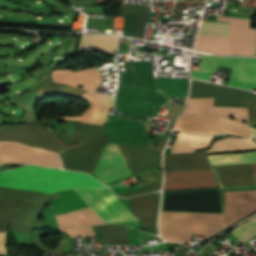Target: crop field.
<instances>
[{
    "label": "crop field",
    "mask_w": 256,
    "mask_h": 256,
    "mask_svg": "<svg viewBox=\"0 0 256 256\" xmlns=\"http://www.w3.org/2000/svg\"><path fill=\"white\" fill-rule=\"evenodd\" d=\"M0 186L52 193L73 187L103 186L94 177L78 172L25 165L0 173ZM0 187V203L5 196L37 200L47 193Z\"/></svg>",
    "instance_id": "crop-field-1"
},
{
    "label": "crop field",
    "mask_w": 256,
    "mask_h": 256,
    "mask_svg": "<svg viewBox=\"0 0 256 256\" xmlns=\"http://www.w3.org/2000/svg\"><path fill=\"white\" fill-rule=\"evenodd\" d=\"M132 174L158 168L160 156L150 145L117 144ZM116 144H106L92 173L104 183L132 175Z\"/></svg>",
    "instance_id": "crop-field-2"
},
{
    "label": "crop field",
    "mask_w": 256,
    "mask_h": 256,
    "mask_svg": "<svg viewBox=\"0 0 256 256\" xmlns=\"http://www.w3.org/2000/svg\"><path fill=\"white\" fill-rule=\"evenodd\" d=\"M74 131L75 142H80V146L61 153L63 168L91 174L107 141L105 128L101 125L74 122Z\"/></svg>",
    "instance_id": "crop-field-3"
},
{
    "label": "crop field",
    "mask_w": 256,
    "mask_h": 256,
    "mask_svg": "<svg viewBox=\"0 0 256 256\" xmlns=\"http://www.w3.org/2000/svg\"><path fill=\"white\" fill-rule=\"evenodd\" d=\"M223 214L161 212L159 226L164 240L190 242L192 234L208 237L223 228Z\"/></svg>",
    "instance_id": "crop-field-4"
},
{
    "label": "crop field",
    "mask_w": 256,
    "mask_h": 256,
    "mask_svg": "<svg viewBox=\"0 0 256 256\" xmlns=\"http://www.w3.org/2000/svg\"><path fill=\"white\" fill-rule=\"evenodd\" d=\"M151 88L130 87L127 72L122 76V83L117 90V110L129 117L146 122L147 114L155 116L159 108L169 97L155 89L150 100Z\"/></svg>",
    "instance_id": "crop-field-5"
},
{
    "label": "crop field",
    "mask_w": 256,
    "mask_h": 256,
    "mask_svg": "<svg viewBox=\"0 0 256 256\" xmlns=\"http://www.w3.org/2000/svg\"><path fill=\"white\" fill-rule=\"evenodd\" d=\"M220 66L233 67L229 86L251 90L256 87V60L201 55L200 69L191 70L193 79L208 81Z\"/></svg>",
    "instance_id": "crop-field-6"
},
{
    "label": "crop field",
    "mask_w": 256,
    "mask_h": 256,
    "mask_svg": "<svg viewBox=\"0 0 256 256\" xmlns=\"http://www.w3.org/2000/svg\"><path fill=\"white\" fill-rule=\"evenodd\" d=\"M161 211L223 213L221 191L210 188L163 192Z\"/></svg>",
    "instance_id": "crop-field-7"
},
{
    "label": "crop field",
    "mask_w": 256,
    "mask_h": 256,
    "mask_svg": "<svg viewBox=\"0 0 256 256\" xmlns=\"http://www.w3.org/2000/svg\"><path fill=\"white\" fill-rule=\"evenodd\" d=\"M0 141H18L27 145L60 151L73 146L63 143L53 131L47 132L40 122L0 126Z\"/></svg>",
    "instance_id": "crop-field-8"
},
{
    "label": "crop field",
    "mask_w": 256,
    "mask_h": 256,
    "mask_svg": "<svg viewBox=\"0 0 256 256\" xmlns=\"http://www.w3.org/2000/svg\"><path fill=\"white\" fill-rule=\"evenodd\" d=\"M105 222L137 220L109 189H73Z\"/></svg>",
    "instance_id": "crop-field-9"
},
{
    "label": "crop field",
    "mask_w": 256,
    "mask_h": 256,
    "mask_svg": "<svg viewBox=\"0 0 256 256\" xmlns=\"http://www.w3.org/2000/svg\"><path fill=\"white\" fill-rule=\"evenodd\" d=\"M213 99H189L174 130L197 134H215L219 116L212 115Z\"/></svg>",
    "instance_id": "crop-field-10"
},
{
    "label": "crop field",
    "mask_w": 256,
    "mask_h": 256,
    "mask_svg": "<svg viewBox=\"0 0 256 256\" xmlns=\"http://www.w3.org/2000/svg\"><path fill=\"white\" fill-rule=\"evenodd\" d=\"M189 98H214L213 106L248 108L256 101V94L245 90L192 81Z\"/></svg>",
    "instance_id": "crop-field-11"
},
{
    "label": "crop field",
    "mask_w": 256,
    "mask_h": 256,
    "mask_svg": "<svg viewBox=\"0 0 256 256\" xmlns=\"http://www.w3.org/2000/svg\"><path fill=\"white\" fill-rule=\"evenodd\" d=\"M4 163H26L61 168L60 159L52 152L16 143L0 142V164Z\"/></svg>",
    "instance_id": "crop-field-12"
},
{
    "label": "crop field",
    "mask_w": 256,
    "mask_h": 256,
    "mask_svg": "<svg viewBox=\"0 0 256 256\" xmlns=\"http://www.w3.org/2000/svg\"><path fill=\"white\" fill-rule=\"evenodd\" d=\"M106 131L109 134L107 143L148 144L144 123L131 120L119 114L108 121Z\"/></svg>",
    "instance_id": "crop-field-13"
},
{
    "label": "crop field",
    "mask_w": 256,
    "mask_h": 256,
    "mask_svg": "<svg viewBox=\"0 0 256 256\" xmlns=\"http://www.w3.org/2000/svg\"><path fill=\"white\" fill-rule=\"evenodd\" d=\"M217 21L229 22V53L255 54L256 30L250 20L218 16Z\"/></svg>",
    "instance_id": "crop-field-14"
},
{
    "label": "crop field",
    "mask_w": 256,
    "mask_h": 256,
    "mask_svg": "<svg viewBox=\"0 0 256 256\" xmlns=\"http://www.w3.org/2000/svg\"><path fill=\"white\" fill-rule=\"evenodd\" d=\"M218 186L211 170L165 173L163 190Z\"/></svg>",
    "instance_id": "crop-field-15"
},
{
    "label": "crop field",
    "mask_w": 256,
    "mask_h": 256,
    "mask_svg": "<svg viewBox=\"0 0 256 256\" xmlns=\"http://www.w3.org/2000/svg\"><path fill=\"white\" fill-rule=\"evenodd\" d=\"M224 194L226 226L256 209V190L232 191Z\"/></svg>",
    "instance_id": "crop-field-16"
},
{
    "label": "crop field",
    "mask_w": 256,
    "mask_h": 256,
    "mask_svg": "<svg viewBox=\"0 0 256 256\" xmlns=\"http://www.w3.org/2000/svg\"><path fill=\"white\" fill-rule=\"evenodd\" d=\"M213 114L220 115L216 134L249 136L247 125L228 120L224 117L248 120L247 109L234 107H213Z\"/></svg>",
    "instance_id": "crop-field-17"
},
{
    "label": "crop field",
    "mask_w": 256,
    "mask_h": 256,
    "mask_svg": "<svg viewBox=\"0 0 256 256\" xmlns=\"http://www.w3.org/2000/svg\"><path fill=\"white\" fill-rule=\"evenodd\" d=\"M212 169L205 152L167 154L164 160V171H188Z\"/></svg>",
    "instance_id": "crop-field-18"
},
{
    "label": "crop field",
    "mask_w": 256,
    "mask_h": 256,
    "mask_svg": "<svg viewBox=\"0 0 256 256\" xmlns=\"http://www.w3.org/2000/svg\"><path fill=\"white\" fill-rule=\"evenodd\" d=\"M82 98L91 103L90 108L85 110L82 116L64 117L62 119L82 120V122L103 125L107 121L109 108L113 106V98L93 92L82 95Z\"/></svg>",
    "instance_id": "crop-field-19"
},
{
    "label": "crop field",
    "mask_w": 256,
    "mask_h": 256,
    "mask_svg": "<svg viewBox=\"0 0 256 256\" xmlns=\"http://www.w3.org/2000/svg\"><path fill=\"white\" fill-rule=\"evenodd\" d=\"M222 186L256 185L251 165L213 167Z\"/></svg>",
    "instance_id": "crop-field-20"
},
{
    "label": "crop field",
    "mask_w": 256,
    "mask_h": 256,
    "mask_svg": "<svg viewBox=\"0 0 256 256\" xmlns=\"http://www.w3.org/2000/svg\"><path fill=\"white\" fill-rule=\"evenodd\" d=\"M56 197H59L57 193L39 199L34 205H32L22 214L14 218L13 221L10 223V228L28 234L29 230L32 229L35 225L37 221V216L42 208Z\"/></svg>",
    "instance_id": "crop-field-21"
},
{
    "label": "crop field",
    "mask_w": 256,
    "mask_h": 256,
    "mask_svg": "<svg viewBox=\"0 0 256 256\" xmlns=\"http://www.w3.org/2000/svg\"><path fill=\"white\" fill-rule=\"evenodd\" d=\"M157 194L133 198L132 213L146 226L155 224Z\"/></svg>",
    "instance_id": "crop-field-22"
},
{
    "label": "crop field",
    "mask_w": 256,
    "mask_h": 256,
    "mask_svg": "<svg viewBox=\"0 0 256 256\" xmlns=\"http://www.w3.org/2000/svg\"><path fill=\"white\" fill-rule=\"evenodd\" d=\"M52 76L55 83H66L73 86H77L76 83H79L89 89L96 87L93 80V68L74 73L69 70H56L53 71Z\"/></svg>",
    "instance_id": "crop-field-23"
},
{
    "label": "crop field",
    "mask_w": 256,
    "mask_h": 256,
    "mask_svg": "<svg viewBox=\"0 0 256 256\" xmlns=\"http://www.w3.org/2000/svg\"><path fill=\"white\" fill-rule=\"evenodd\" d=\"M118 38L106 35H81L79 51L114 53Z\"/></svg>",
    "instance_id": "crop-field-24"
},
{
    "label": "crop field",
    "mask_w": 256,
    "mask_h": 256,
    "mask_svg": "<svg viewBox=\"0 0 256 256\" xmlns=\"http://www.w3.org/2000/svg\"><path fill=\"white\" fill-rule=\"evenodd\" d=\"M34 202L5 197L0 204V231H6L8 222Z\"/></svg>",
    "instance_id": "crop-field-25"
},
{
    "label": "crop field",
    "mask_w": 256,
    "mask_h": 256,
    "mask_svg": "<svg viewBox=\"0 0 256 256\" xmlns=\"http://www.w3.org/2000/svg\"><path fill=\"white\" fill-rule=\"evenodd\" d=\"M212 140V136L207 135H189L185 133H179L172 152H191L208 147L209 142Z\"/></svg>",
    "instance_id": "crop-field-26"
},
{
    "label": "crop field",
    "mask_w": 256,
    "mask_h": 256,
    "mask_svg": "<svg viewBox=\"0 0 256 256\" xmlns=\"http://www.w3.org/2000/svg\"><path fill=\"white\" fill-rule=\"evenodd\" d=\"M248 150H256V144L252 139L224 138L215 142L212 145L211 149L206 150V153L211 154V153L239 152V151H248Z\"/></svg>",
    "instance_id": "crop-field-27"
},
{
    "label": "crop field",
    "mask_w": 256,
    "mask_h": 256,
    "mask_svg": "<svg viewBox=\"0 0 256 256\" xmlns=\"http://www.w3.org/2000/svg\"><path fill=\"white\" fill-rule=\"evenodd\" d=\"M128 66L131 86L154 87L149 62L131 61Z\"/></svg>",
    "instance_id": "crop-field-28"
},
{
    "label": "crop field",
    "mask_w": 256,
    "mask_h": 256,
    "mask_svg": "<svg viewBox=\"0 0 256 256\" xmlns=\"http://www.w3.org/2000/svg\"><path fill=\"white\" fill-rule=\"evenodd\" d=\"M55 216L60 228L96 225L103 223L93 211Z\"/></svg>",
    "instance_id": "crop-field-29"
},
{
    "label": "crop field",
    "mask_w": 256,
    "mask_h": 256,
    "mask_svg": "<svg viewBox=\"0 0 256 256\" xmlns=\"http://www.w3.org/2000/svg\"><path fill=\"white\" fill-rule=\"evenodd\" d=\"M155 85L167 93L171 98L186 97L189 79H161L154 78Z\"/></svg>",
    "instance_id": "crop-field-30"
},
{
    "label": "crop field",
    "mask_w": 256,
    "mask_h": 256,
    "mask_svg": "<svg viewBox=\"0 0 256 256\" xmlns=\"http://www.w3.org/2000/svg\"><path fill=\"white\" fill-rule=\"evenodd\" d=\"M211 166L246 164L256 162V152L245 154L209 155Z\"/></svg>",
    "instance_id": "crop-field-31"
},
{
    "label": "crop field",
    "mask_w": 256,
    "mask_h": 256,
    "mask_svg": "<svg viewBox=\"0 0 256 256\" xmlns=\"http://www.w3.org/2000/svg\"><path fill=\"white\" fill-rule=\"evenodd\" d=\"M98 227L103 236L104 244H130L124 226L101 225Z\"/></svg>",
    "instance_id": "crop-field-32"
},
{
    "label": "crop field",
    "mask_w": 256,
    "mask_h": 256,
    "mask_svg": "<svg viewBox=\"0 0 256 256\" xmlns=\"http://www.w3.org/2000/svg\"><path fill=\"white\" fill-rule=\"evenodd\" d=\"M138 177L143 182L152 180L151 186H149L147 188H143V189L118 193L117 195H119L121 197H131V196H135V195H139V194H144V193L160 190L161 181H162V173L161 172H149V173L142 174Z\"/></svg>",
    "instance_id": "crop-field-33"
},
{
    "label": "crop field",
    "mask_w": 256,
    "mask_h": 256,
    "mask_svg": "<svg viewBox=\"0 0 256 256\" xmlns=\"http://www.w3.org/2000/svg\"><path fill=\"white\" fill-rule=\"evenodd\" d=\"M85 92H87V90L76 89V88H72L70 86H66L62 84H52L47 87L36 90V96L38 97L46 94H57V93L80 95Z\"/></svg>",
    "instance_id": "crop-field-34"
},
{
    "label": "crop field",
    "mask_w": 256,
    "mask_h": 256,
    "mask_svg": "<svg viewBox=\"0 0 256 256\" xmlns=\"http://www.w3.org/2000/svg\"><path fill=\"white\" fill-rule=\"evenodd\" d=\"M231 232L243 242L251 239L252 237L256 236V217Z\"/></svg>",
    "instance_id": "crop-field-35"
},
{
    "label": "crop field",
    "mask_w": 256,
    "mask_h": 256,
    "mask_svg": "<svg viewBox=\"0 0 256 256\" xmlns=\"http://www.w3.org/2000/svg\"><path fill=\"white\" fill-rule=\"evenodd\" d=\"M228 24L210 23L203 21L199 34L212 36H227Z\"/></svg>",
    "instance_id": "crop-field-36"
},
{
    "label": "crop field",
    "mask_w": 256,
    "mask_h": 256,
    "mask_svg": "<svg viewBox=\"0 0 256 256\" xmlns=\"http://www.w3.org/2000/svg\"><path fill=\"white\" fill-rule=\"evenodd\" d=\"M147 18H148V15L134 14L132 37L144 39V32L147 24Z\"/></svg>",
    "instance_id": "crop-field-37"
},
{
    "label": "crop field",
    "mask_w": 256,
    "mask_h": 256,
    "mask_svg": "<svg viewBox=\"0 0 256 256\" xmlns=\"http://www.w3.org/2000/svg\"><path fill=\"white\" fill-rule=\"evenodd\" d=\"M197 44L211 45V46H228V38L199 35Z\"/></svg>",
    "instance_id": "crop-field-38"
},
{
    "label": "crop field",
    "mask_w": 256,
    "mask_h": 256,
    "mask_svg": "<svg viewBox=\"0 0 256 256\" xmlns=\"http://www.w3.org/2000/svg\"><path fill=\"white\" fill-rule=\"evenodd\" d=\"M62 231L67 232L69 237L84 236V235H92V234H94V232L91 229V227L65 229V230H62Z\"/></svg>",
    "instance_id": "crop-field-39"
},
{
    "label": "crop field",
    "mask_w": 256,
    "mask_h": 256,
    "mask_svg": "<svg viewBox=\"0 0 256 256\" xmlns=\"http://www.w3.org/2000/svg\"><path fill=\"white\" fill-rule=\"evenodd\" d=\"M133 14L124 13V30L123 35L131 37L132 34Z\"/></svg>",
    "instance_id": "crop-field-40"
},
{
    "label": "crop field",
    "mask_w": 256,
    "mask_h": 256,
    "mask_svg": "<svg viewBox=\"0 0 256 256\" xmlns=\"http://www.w3.org/2000/svg\"><path fill=\"white\" fill-rule=\"evenodd\" d=\"M124 12L129 13H149L152 14L149 7L145 6H137V5H129L125 4Z\"/></svg>",
    "instance_id": "crop-field-41"
},
{
    "label": "crop field",
    "mask_w": 256,
    "mask_h": 256,
    "mask_svg": "<svg viewBox=\"0 0 256 256\" xmlns=\"http://www.w3.org/2000/svg\"><path fill=\"white\" fill-rule=\"evenodd\" d=\"M196 50H201V51H207L211 53H228V47H211V46H202V45H197Z\"/></svg>",
    "instance_id": "crop-field-42"
},
{
    "label": "crop field",
    "mask_w": 256,
    "mask_h": 256,
    "mask_svg": "<svg viewBox=\"0 0 256 256\" xmlns=\"http://www.w3.org/2000/svg\"><path fill=\"white\" fill-rule=\"evenodd\" d=\"M249 124H256V102L248 108Z\"/></svg>",
    "instance_id": "crop-field-43"
},
{
    "label": "crop field",
    "mask_w": 256,
    "mask_h": 256,
    "mask_svg": "<svg viewBox=\"0 0 256 256\" xmlns=\"http://www.w3.org/2000/svg\"><path fill=\"white\" fill-rule=\"evenodd\" d=\"M165 144H166V140L163 139L162 137H160L159 142H158V144H157V147H156V149H155V151H156L159 155H160V153L162 152V150H163Z\"/></svg>",
    "instance_id": "crop-field-44"
},
{
    "label": "crop field",
    "mask_w": 256,
    "mask_h": 256,
    "mask_svg": "<svg viewBox=\"0 0 256 256\" xmlns=\"http://www.w3.org/2000/svg\"><path fill=\"white\" fill-rule=\"evenodd\" d=\"M3 240H4V233H0V254H5Z\"/></svg>",
    "instance_id": "crop-field-45"
},
{
    "label": "crop field",
    "mask_w": 256,
    "mask_h": 256,
    "mask_svg": "<svg viewBox=\"0 0 256 256\" xmlns=\"http://www.w3.org/2000/svg\"><path fill=\"white\" fill-rule=\"evenodd\" d=\"M71 2V4H75V3H81V2H87V1H93V0H69Z\"/></svg>",
    "instance_id": "crop-field-46"
},
{
    "label": "crop field",
    "mask_w": 256,
    "mask_h": 256,
    "mask_svg": "<svg viewBox=\"0 0 256 256\" xmlns=\"http://www.w3.org/2000/svg\"><path fill=\"white\" fill-rule=\"evenodd\" d=\"M251 137H256V129L250 127Z\"/></svg>",
    "instance_id": "crop-field-47"
},
{
    "label": "crop field",
    "mask_w": 256,
    "mask_h": 256,
    "mask_svg": "<svg viewBox=\"0 0 256 256\" xmlns=\"http://www.w3.org/2000/svg\"><path fill=\"white\" fill-rule=\"evenodd\" d=\"M104 1H106V0H96L97 4L102 3V2H104ZM120 1H122V11H123V8H124V0H120Z\"/></svg>",
    "instance_id": "crop-field-48"
},
{
    "label": "crop field",
    "mask_w": 256,
    "mask_h": 256,
    "mask_svg": "<svg viewBox=\"0 0 256 256\" xmlns=\"http://www.w3.org/2000/svg\"><path fill=\"white\" fill-rule=\"evenodd\" d=\"M253 169H254V175L256 177V164H253Z\"/></svg>",
    "instance_id": "crop-field-49"
}]
</instances>
